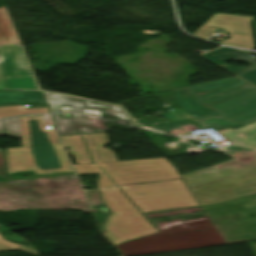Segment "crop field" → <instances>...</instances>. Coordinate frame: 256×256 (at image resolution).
<instances>
[{
	"instance_id": "1",
	"label": "crop field",
	"mask_w": 256,
	"mask_h": 256,
	"mask_svg": "<svg viewBox=\"0 0 256 256\" xmlns=\"http://www.w3.org/2000/svg\"><path fill=\"white\" fill-rule=\"evenodd\" d=\"M142 213L199 206L183 180L120 187ZM113 213L104 223L114 245L157 232L150 222L117 189L100 190Z\"/></svg>"
},
{
	"instance_id": "2",
	"label": "crop field",
	"mask_w": 256,
	"mask_h": 256,
	"mask_svg": "<svg viewBox=\"0 0 256 256\" xmlns=\"http://www.w3.org/2000/svg\"><path fill=\"white\" fill-rule=\"evenodd\" d=\"M171 94L203 127L234 129L256 120V89L235 77L171 91Z\"/></svg>"
},
{
	"instance_id": "3",
	"label": "crop field",
	"mask_w": 256,
	"mask_h": 256,
	"mask_svg": "<svg viewBox=\"0 0 256 256\" xmlns=\"http://www.w3.org/2000/svg\"><path fill=\"white\" fill-rule=\"evenodd\" d=\"M20 131L22 147L7 149L8 173L72 171L48 116L20 117Z\"/></svg>"
},
{
	"instance_id": "4",
	"label": "crop field",
	"mask_w": 256,
	"mask_h": 256,
	"mask_svg": "<svg viewBox=\"0 0 256 256\" xmlns=\"http://www.w3.org/2000/svg\"><path fill=\"white\" fill-rule=\"evenodd\" d=\"M166 163L165 158L111 162L98 164L117 185L178 179V173L163 175L156 164Z\"/></svg>"
},
{
	"instance_id": "5",
	"label": "crop field",
	"mask_w": 256,
	"mask_h": 256,
	"mask_svg": "<svg viewBox=\"0 0 256 256\" xmlns=\"http://www.w3.org/2000/svg\"><path fill=\"white\" fill-rule=\"evenodd\" d=\"M252 19L254 17L216 13L193 36L209 40L212 38L210 35L221 28L228 32L231 38L220 42V44L254 50L250 26Z\"/></svg>"
},
{
	"instance_id": "6",
	"label": "crop field",
	"mask_w": 256,
	"mask_h": 256,
	"mask_svg": "<svg viewBox=\"0 0 256 256\" xmlns=\"http://www.w3.org/2000/svg\"><path fill=\"white\" fill-rule=\"evenodd\" d=\"M226 244L219 234L207 233L118 245L125 256Z\"/></svg>"
},
{
	"instance_id": "7",
	"label": "crop field",
	"mask_w": 256,
	"mask_h": 256,
	"mask_svg": "<svg viewBox=\"0 0 256 256\" xmlns=\"http://www.w3.org/2000/svg\"><path fill=\"white\" fill-rule=\"evenodd\" d=\"M0 90L39 91L20 46L0 47Z\"/></svg>"
},
{
	"instance_id": "8",
	"label": "crop field",
	"mask_w": 256,
	"mask_h": 256,
	"mask_svg": "<svg viewBox=\"0 0 256 256\" xmlns=\"http://www.w3.org/2000/svg\"><path fill=\"white\" fill-rule=\"evenodd\" d=\"M44 93L51 113L73 112L92 115L100 118H103V116L106 114H115L123 116L130 123H132L135 126H138L127 116V114L119 106L75 97L62 96L48 92Z\"/></svg>"
},
{
	"instance_id": "9",
	"label": "crop field",
	"mask_w": 256,
	"mask_h": 256,
	"mask_svg": "<svg viewBox=\"0 0 256 256\" xmlns=\"http://www.w3.org/2000/svg\"><path fill=\"white\" fill-rule=\"evenodd\" d=\"M210 60L216 62L217 64L223 66L224 68L230 70L231 72L237 74L241 78L247 80L256 86V63L253 62V59L246 52H242L236 49L224 47L213 52L203 55ZM235 59L240 61H245L251 64L252 68H239L227 65L223 62Z\"/></svg>"
},
{
	"instance_id": "10",
	"label": "crop field",
	"mask_w": 256,
	"mask_h": 256,
	"mask_svg": "<svg viewBox=\"0 0 256 256\" xmlns=\"http://www.w3.org/2000/svg\"><path fill=\"white\" fill-rule=\"evenodd\" d=\"M52 116L61 136L110 131L94 127L86 116L73 115V117L67 118H59L57 114Z\"/></svg>"
},
{
	"instance_id": "11",
	"label": "crop field",
	"mask_w": 256,
	"mask_h": 256,
	"mask_svg": "<svg viewBox=\"0 0 256 256\" xmlns=\"http://www.w3.org/2000/svg\"><path fill=\"white\" fill-rule=\"evenodd\" d=\"M236 145L256 147V121L231 130L230 128L218 130Z\"/></svg>"
},
{
	"instance_id": "12",
	"label": "crop field",
	"mask_w": 256,
	"mask_h": 256,
	"mask_svg": "<svg viewBox=\"0 0 256 256\" xmlns=\"http://www.w3.org/2000/svg\"><path fill=\"white\" fill-rule=\"evenodd\" d=\"M45 102L41 92L0 91V106Z\"/></svg>"
},
{
	"instance_id": "13",
	"label": "crop field",
	"mask_w": 256,
	"mask_h": 256,
	"mask_svg": "<svg viewBox=\"0 0 256 256\" xmlns=\"http://www.w3.org/2000/svg\"><path fill=\"white\" fill-rule=\"evenodd\" d=\"M21 43L5 7L0 8V45Z\"/></svg>"
},
{
	"instance_id": "14",
	"label": "crop field",
	"mask_w": 256,
	"mask_h": 256,
	"mask_svg": "<svg viewBox=\"0 0 256 256\" xmlns=\"http://www.w3.org/2000/svg\"><path fill=\"white\" fill-rule=\"evenodd\" d=\"M50 113L48 108H29L23 105L0 107V118L19 116L23 114Z\"/></svg>"
},
{
	"instance_id": "15",
	"label": "crop field",
	"mask_w": 256,
	"mask_h": 256,
	"mask_svg": "<svg viewBox=\"0 0 256 256\" xmlns=\"http://www.w3.org/2000/svg\"><path fill=\"white\" fill-rule=\"evenodd\" d=\"M74 168L78 174L100 172V178L97 180L99 188L114 186L96 164L74 165Z\"/></svg>"
},
{
	"instance_id": "16",
	"label": "crop field",
	"mask_w": 256,
	"mask_h": 256,
	"mask_svg": "<svg viewBox=\"0 0 256 256\" xmlns=\"http://www.w3.org/2000/svg\"><path fill=\"white\" fill-rule=\"evenodd\" d=\"M1 134L9 130L12 138H20L19 117L1 120Z\"/></svg>"
},
{
	"instance_id": "17",
	"label": "crop field",
	"mask_w": 256,
	"mask_h": 256,
	"mask_svg": "<svg viewBox=\"0 0 256 256\" xmlns=\"http://www.w3.org/2000/svg\"><path fill=\"white\" fill-rule=\"evenodd\" d=\"M11 250H20V251L38 255V252L35 249H31L28 247H24L18 244L5 241L3 236L0 233V251H11Z\"/></svg>"
},
{
	"instance_id": "18",
	"label": "crop field",
	"mask_w": 256,
	"mask_h": 256,
	"mask_svg": "<svg viewBox=\"0 0 256 256\" xmlns=\"http://www.w3.org/2000/svg\"><path fill=\"white\" fill-rule=\"evenodd\" d=\"M194 120H189V121H185V122H175V123H167L164 124L163 126H161L158 130H162V131H166L169 132L177 127L186 125V124H190V123H194Z\"/></svg>"
},
{
	"instance_id": "19",
	"label": "crop field",
	"mask_w": 256,
	"mask_h": 256,
	"mask_svg": "<svg viewBox=\"0 0 256 256\" xmlns=\"http://www.w3.org/2000/svg\"><path fill=\"white\" fill-rule=\"evenodd\" d=\"M167 161V160H166ZM159 169L162 171L163 174L167 173H174L176 172L175 169L171 166V164L167 161L166 164L158 165Z\"/></svg>"
},
{
	"instance_id": "20",
	"label": "crop field",
	"mask_w": 256,
	"mask_h": 256,
	"mask_svg": "<svg viewBox=\"0 0 256 256\" xmlns=\"http://www.w3.org/2000/svg\"><path fill=\"white\" fill-rule=\"evenodd\" d=\"M139 124L141 125H145V126H148L150 128H154V129H157L158 127H160L162 124H152V123H149V122H138Z\"/></svg>"
}]
</instances>
